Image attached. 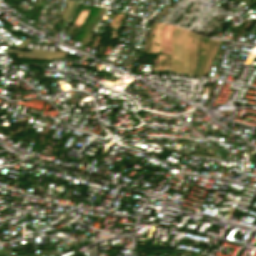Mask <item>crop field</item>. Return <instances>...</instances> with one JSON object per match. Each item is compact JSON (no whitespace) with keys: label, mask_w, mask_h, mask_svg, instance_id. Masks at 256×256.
I'll return each mask as SVG.
<instances>
[{"label":"crop field","mask_w":256,"mask_h":256,"mask_svg":"<svg viewBox=\"0 0 256 256\" xmlns=\"http://www.w3.org/2000/svg\"><path fill=\"white\" fill-rule=\"evenodd\" d=\"M159 25H160V24L157 23L156 30H155L153 53H156V48H157V31H158ZM163 25H164V24H161V26H160V28H159V32H158V49H157V53H159V49H160V43H161V29H162ZM155 43H156V44H155Z\"/></svg>","instance_id":"3"},{"label":"crop field","mask_w":256,"mask_h":256,"mask_svg":"<svg viewBox=\"0 0 256 256\" xmlns=\"http://www.w3.org/2000/svg\"><path fill=\"white\" fill-rule=\"evenodd\" d=\"M154 29H155V24L153 25L152 32H154ZM152 32H151V36H150V37H152ZM151 45H152V38H150V41H149V49H148V52L151 51Z\"/></svg>","instance_id":"9"},{"label":"crop field","mask_w":256,"mask_h":256,"mask_svg":"<svg viewBox=\"0 0 256 256\" xmlns=\"http://www.w3.org/2000/svg\"><path fill=\"white\" fill-rule=\"evenodd\" d=\"M28 41H29V39H25V40H23L19 45H17V46H19V47H23L24 45H26L27 43H28Z\"/></svg>","instance_id":"10"},{"label":"crop field","mask_w":256,"mask_h":256,"mask_svg":"<svg viewBox=\"0 0 256 256\" xmlns=\"http://www.w3.org/2000/svg\"><path fill=\"white\" fill-rule=\"evenodd\" d=\"M212 41L213 40H211V39H209V41H208V44H207V47H206V50H205V53H204V58H203V61H202V64H201V68H200V71H199V74L198 75H200V73H201V70H202V67H203V63H204V60H205V57H206V54H207V52H208V50H209V47H210V45H211V43H212ZM215 41V40H214ZM214 41H213V43H214ZM215 43H216V41H215ZM215 43H214V45H215ZM213 45V44H212ZM214 45H213V47H214ZM211 48H212V46H211ZM211 48H210V50H211ZM213 49V48H212ZM210 50H209V52H210ZM212 51V50H211ZM209 52H208V54H209ZM211 53V52H210ZM208 56V55H207ZM209 57V56H208ZM207 61H208V58H207ZM207 61H206V64H207ZM205 64V63H204ZM206 64H205V67H206ZM204 70H205V68H204ZM202 74V73H201Z\"/></svg>","instance_id":"5"},{"label":"crop field","mask_w":256,"mask_h":256,"mask_svg":"<svg viewBox=\"0 0 256 256\" xmlns=\"http://www.w3.org/2000/svg\"><path fill=\"white\" fill-rule=\"evenodd\" d=\"M201 38H202V36H199V39H198V46H199V44H200ZM202 41H203V40H202ZM201 45H202V44H201ZM200 49H201V47H198L197 54L200 53Z\"/></svg>","instance_id":"12"},{"label":"crop field","mask_w":256,"mask_h":256,"mask_svg":"<svg viewBox=\"0 0 256 256\" xmlns=\"http://www.w3.org/2000/svg\"><path fill=\"white\" fill-rule=\"evenodd\" d=\"M222 42H223V41H221V42H220V44H219V47H218V49H217V51H216V54H215V56H214L215 58H216V57H217V55H218V51H219V48H220V46H221Z\"/></svg>","instance_id":"13"},{"label":"crop field","mask_w":256,"mask_h":256,"mask_svg":"<svg viewBox=\"0 0 256 256\" xmlns=\"http://www.w3.org/2000/svg\"><path fill=\"white\" fill-rule=\"evenodd\" d=\"M190 32H189V36H188V39H187V57H188V74L190 72V58H191V71H192V65H193V58H192V39H193V36L194 34L192 33L191 34V38H190V58H189V37H190ZM191 74V72H190Z\"/></svg>","instance_id":"4"},{"label":"crop field","mask_w":256,"mask_h":256,"mask_svg":"<svg viewBox=\"0 0 256 256\" xmlns=\"http://www.w3.org/2000/svg\"><path fill=\"white\" fill-rule=\"evenodd\" d=\"M11 53L19 54L18 57H29V58H43V59H51V58H63L65 53L59 52H49V51H41V50H33L31 52L17 51V50H9Z\"/></svg>","instance_id":"1"},{"label":"crop field","mask_w":256,"mask_h":256,"mask_svg":"<svg viewBox=\"0 0 256 256\" xmlns=\"http://www.w3.org/2000/svg\"><path fill=\"white\" fill-rule=\"evenodd\" d=\"M75 4H76L75 2H71V5H70V1L68 0L67 8H66V10H65V13H64L63 16H62L63 18H64L65 14H66V12H67V10H68L69 5H70V8H69V11H68L66 17L64 18V20H65V19H66V20L69 19L70 15H71V13H72V11H73V9H74ZM64 20H63V22H64ZM63 22H62V24H63Z\"/></svg>","instance_id":"6"},{"label":"crop field","mask_w":256,"mask_h":256,"mask_svg":"<svg viewBox=\"0 0 256 256\" xmlns=\"http://www.w3.org/2000/svg\"><path fill=\"white\" fill-rule=\"evenodd\" d=\"M182 31H183V29L180 28L178 40H177V51H178L179 59H180V36H181ZM185 32H186V30H185ZM182 36H183V33H182ZM184 37H185V33H184ZM184 37H183V41H184ZM183 58H184V55H183ZM179 59L170 57V72L180 73V60ZM181 59H182V37H181ZM181 73H183V59L181 61ZM184 73H185V60H184Z\"/></svg>","instance_id":"2"},{"label":"crop field","mask_w":256,"mask_h":256,"mask_svg":"<svg viewBox=\"0 0 256 256\" xmlns=\"http://www.w3.org/2000/svg\"><path fill=\"white\" fill-rule=\"evenodd\" d=\"M174 30H175V27H174V29H173L172 39H171V51H172V55H173V34H174Z\"/></svg>","instance_id":"11"},{"label":"crop field","mask_w":256,"mask_h":256,"mask_svg":"<svg viewBox=\"0 0 256 256\" xmlns=\"http://www.w3.org/2000/svg\"><path fill=\"white\" fill-rule=\"evenodd\" d=\"M188 31L186 32L185 42H184V54L186 59V73H187V57H186V39H187Z\"/></svg>","instance_id":"8"},{"label":"crop field","mask_w":256,"mask_h":256,"mask_svg":"<svg viewBox=\"0 0 256 256\" xmlns=\"http://www.w3.org/2000/svg\"><path fill=\"white\" fill-rule=\"evenodd\" d=\"M178 30L179 28L176 27V31H175V34H174V56L177 57V51H176V39H177V35H178Z\"/></svg>","instance_id":"7"},{"label":"crop field","mask_w":256,"mask_h":256,"mask_svg":"<svg viewBox=\"0 0 256 256\" xmlns=\"http://www.w3.org/2000/svg\"><path fill=\"white\" fill-rule=\"evenodd\" d=\"M169 27H170V26H169ZM169 27H168V29H167V35H166V36H168Z\"/></svg>","instance_id":"14"}]
</instances>
